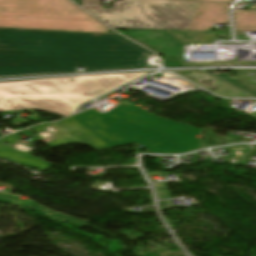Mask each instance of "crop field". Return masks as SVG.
<instances>
[{"mask_svg":"<svg viewBox=\"0 0 256 256\" xmlns=\"http://www.w3.org/2000/svg\"><path fill=\"white\" fill-rule=\"evenodd\" d=\"M121 105V104H120ZM38 140L52 148L65 144L91 145L96 150L136 142L152 153H185L200 149L194 138L202 129L151 115L137 106L121 105L107 114L92 109L54 124L34 127ZM4 141L10 145L3 144ZM34 141L22 142L14 134L0 139V158L20 165L48 170L52 165L30 154Z\"/></svg>","mask_w":256,"mask_h":256,"instance_id":"8a807250","label":"crop field"},{"mask_svg":"<svg viewBox=\"0 0 256 256\" xmlns=\"http://www.w3.org/2000/svg\"><path fill=\"white\" fill-rule=\"evenodd\" d=\"M151 56L118 34L0 28V77L139 68Z\"/></svg>","mask_w":256,"mask_h":256,"instance_id":"ac0d7876","label":"crop field"},{"mask_svg":"<svg viewBox=\"0 0 256 256\" xmlns=\"http://www.w3.org/2000/svg\"><path fill=\"white\" fill-rule=\"evenodd\" d=\"M145 73L78 76L0 83V111L40 109L60 116Z\"/></svg>","mask_w":256,"mask_h":256,"instance_id":"34b2d1b8","label":"crop field"},{"mask_svg":"<svg viewBox=\"0 0 256 256\" xmlns=\"http://www.w3.org/2000/svg\"><path fill=\"white\" fill-rule=\"evenodd\" d=\"M0 27L108 33L69 0H0Z\"/></svg>","mask_w":256,"mask_h":256,"instance_id":"412701ff","label":"crop field"},{"mask_svg":"<svg viewBox=\"0 0 256 256\" xmlns=\"http://www.w3.org/2000/svg\"><path fill=\"white\" fill-rule=\"evenodd\" d=\"M83 8L112 28L162 29L142 14L138 0H116L112 9H103L100 6H83Z\"/></svg>","mask_w":256,"mask_h":256,"instance_id":"f4fd0767","label":"crop field"},{"mask_svg":"<svg viewBox=\"0 0 256 256\" xmlns=\"http://www.w3.org/2000/svg\"><path fill=\"white\" fill-rule=\"evenodd\" d=\"M231 4L201 3L188 30H210L213 23L229 24Z\"/></svg>","mask_w":256,"mask_h":256,"instance_id":"dd49c442","label":"crop field"},{"mask_svg":"<svg viewBox=\"0 0 256 256\" xmlns=\"http://www.w3.org/2000/svg\"><path fill=\"white\" fill-rule=\"evenodd\" d=\"M197 9L143 10L165 29H187Z\"/></svg>","mask_w":256,"mask_h":256,"instance_id":"e52e79f7","label":"crop field"},{"mask_svg":"<svg viewBox=\"0 0 256 256\" xmlns=\"http://www.w3.org/2000/svg\"><path fill=\"white\" fill-rule=\"evenodd\" d=\"M200 2L232 3L219 1L141 0L143 9L198 8Z\"/></svg>","mask_w":256,"mask_h":256,"instance_id":"d8731c3e","label":"crop field"},{"mask_svg":"<svg viewBox=\"0 0 256 256\" xmlns=\"http://www.w3.org/2000/svg\"><path fill=\"white\" fill-rule=\"evenodd\" d=\"M236 31H256V11L234 10Z\"/></svg>","mask_w":256,"mask_h":256,"instance_id":"5a996713","label":"crop field"},{"mask_svg":"<svg viewBox=\"0 0 256 256\" xmlns=\"http://www.w3.org/2000/svg\"><path fill=\"white\" fill-rule=\"evenodd\" d=\"M29 206L35 207V208H40V209H42L44 211H47L49 213H52V214H54V215H56V216H58L60 218H63V219L69 220V221L84 222V223H89L90 222V221H86V220H79V219L73 218L71 216H68V215H65V214H62V213H58V212L52 211V210H50L48 208H45V207H43L41 205H38L36 203H33V204L29 205Z\"/></svg>","mask_w":256,"mask_h":256,"instance_id":"3316defc","label":"crop field"},{"mask_svg":"<svg viewBox=\"0 0 256 256\" xmlns=\"http://www.w3.org/2000/svg\"><path fill=\"white\" fill-rule=\"evenodd\" d=\"M83 5L100 4L101 0H82Z\"/></svg>","mask_w":256,"mask_h":256,"instance_id":"28ad6ade","label":"crop field"},{"mask_svg":"<svg viewBox=\"0 0 256 256\" xmlns=\"http://www.w3.org/2000/svg\"><path fill=\"white\" fill-rule=\"evenodd\" d=\"M0 202H4V203H14V202H12L9 198H7L5 195H3L2 193H0Z\"/></svg>","mask_w":256,"mask_h":256,"instance_id":"d1516ede","label":"crop field"},{"mask_svg":"<svg viewBox=\"0 0 256 256\" xmlns=\"http://www.w3.org/2000/svg\"><path fill=\"white\" fill-rule=\"evenodd\" d=\"M219 1H234V0H219Z\"/></svg>","mask_w":256,"mask_h":256,"instance_id":"22f410ed","label":"crop field"}]
</instances>
